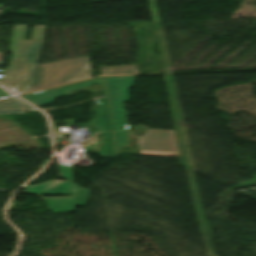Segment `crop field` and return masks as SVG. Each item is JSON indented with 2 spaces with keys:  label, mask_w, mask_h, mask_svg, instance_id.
Returning <instances> with one entry per match:
<instances>
[{
  "label": "crop field",
  "mask_w": 256,
  "mask_h": 256,
  "mask_svg": "<svg viewBox=\"0 0 256 256\" xmlns=\"http://www.w3.org/2000/svg\"><path fill=\"white\" fill-rule=\"evenodd\" d=\"M25 192L51 195L62 194L71 197L44 198L52 213L74 212V207L84 206L88 190L69 181L52 180L34 186L24 185Z\"/></svg>",
  "instance_id": "ac0d7876"
},
{
  "label": "crop field",
  "mask_w": 256,
  "mask_h": 256,
  "mask_svg": "<svg viewBox=\"0 0 256 256\" xmlns=\"http://www.w3.org/2000/svg\"><path fill=\"white\" fill-rule=\"evenodd\" d=\"M58 167H59V177H62L66 180L73 182L71 165L58 164Z\"/></svg>",
  "instance_id": "5a996713"
},
{
  "label": "crop field",
  "mask_w": 256,
  "mask_h": 256,
  "mask_svg": "<svg viewBox=\"0 0 256 256\" xmlns=\"http://www.w3.org/2000/svg\"><path fill=\"white\" fill-rule=\"evenodd\" d=\"M135 76L105 77L114 125L116 149L128 145L123 103L129 101L128 90Z\"/></svg>",
  "instance_id": "34b2d1b8"
},
{
  "label": "crop field",
  "mask_w": 256,
  "mask_h": 256,
  "mask_svg": "<svg viewBox=\"0 0 256 256\" xmlns=\"http://www.w3.org/2000/svg\"><path fill=\"white\" fill-rule=\"evenodd\" d=\"M103 82H104L103 78L100 77L96 80H92V81H88V82H83V83L74 84V85L65 86V87L54 88V89H50V90H46V91H42V92H38V93L26 95V96H22V98H24L25 100H27V101L31 102L32 104L38 106V105L53 102L57 97L69 95V93L67 91L78 89V88H83V87H87V86H91V85H94V84H100V83H103Z\"/></svg>",
  "instance_id": "dd49c442"
},
{
  "label": "crop field",
  "mask_w": 256,
  "mask_h": 256,
  "mask_svg": "<svg viewBox=\"0 0 256 256\" xmlns=\"http://www.w3.org/2000/svg\"><path fill=\"white\" fill-rule=\"evenodd\" d=\"M105 97L98 98V108L94 118L95 127L99 132H103L105 144L99 147L100 156H115L112 135L111 118L104 83L102 84Z\"/></svg>",
  "instance_id": "f4fd0767"
},
{
  "label": "crop field",
  "mask_w": 256,
  "mask_h": 256,
  "mask_svg": "<svg viewBox=\"0 0 256 256\" xmlns=\"http://www.w3.org/2000/svg\"><path fill=\"white\" fill-rule=\"evenodd\" d=\"M31 109H33V107L18 98L0 101V114L23 113Z\"/></svg>",
  "instance_id": "e52e79f7"
},
{
  "label": "crop field",
  "mask_w": 256,
  "mask_h": 256,
  "mask_svg": "<svg viewBox=\"0 0 256 256\" xmlns=\"http://www.w3.org/2000/svg\"><path fill=\"white\" fill-rule=\"evenodd\" d=\"M102 75L134 74L137 73L133 65L100 68Z\"/></svg>",
  "instance_id": "d8731c3e"
},
{
  "label": "crop field",
  "mask_w": 256,
  "mask_h": 256,
  "mask_svg": "<svg viewBox=\"0 0 256 256\" xmlns=\"http://www.w3.org/2000/svg\"><path fill=\"white\" fill-rule=\"evenodd\" d=\"M11 95L12 94H10L8 91L3 90V89L0 88V98L11 96Z\"/></svg>",
  "instance_id": "3316defc"
},
{
  "label": "crop field",
  "mask_w": 256,
  "mask_h": 256,
  "mask_svg": "<svg viewBox=\"0 0 256 256\" xmlns=\"http://www.w3.org/2000/svg\"><path fill=\"white\" fill-rule=\"evenodd\" d=\"M27 25H15L8 69L1 84L24 93L91 76L88 57L37 65L45 26H35L31 41H23Z\"/></svg>",
  "instance_id": "8a807250"
},
{
  "label": "crop field",
  "mask_w": 256,
  "mask_h": 256,
  "mask_svg": "<svg viewBox=\"0 0 256 256\" xmlns=\"http://www.w3.org/2000/svg\"><path fill=\"white\" fill-rule=\"evenodd\" d=\"M138 143L141 154L178 156L173 130L147 129Z\"/></svg>",
  "instance_id": "412701ff"
}]
</instances>
